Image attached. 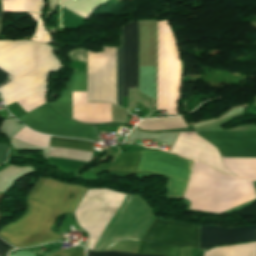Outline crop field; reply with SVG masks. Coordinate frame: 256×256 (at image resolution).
Listing matches in <instances>:
<instances>
[{"instance_id":"8a807250","label":"crop field","mask_w":256,"mask_h":256,"mask_svg":"<svg viewBox=\"0 0 256 256\" xmlns=\"http://www.w3.org/2000/svg\"><path fill=\"white\" fill-rule=\"evenodd\" d=\"M84 191L85 188L40 178L29 196L28 211L19 220L3 228L0 235L16 247L60 239L49 227L57 215L73 211Z\"/></svg>"},{"instance_id":"ac0d7876","label":"crop field","mask_w":256,"mask_h":256,"mask_svg":"<svg viewBox=\"0 0 256 256\" xmlns=\"http://www.w3.org/2000/svg\"><path fill=\"white\" fill-rule=\"evenodd\" d=\"M60 67L52 48L44 43L0 40V68L13 76L0 88L5 105L47 88L46 75Z\"/></svg>"},{"instance_id":"34b2d1b8","label":"crop field","mask_w":256,"mask_h":256,"mask_svg":"<svg viewBox=\"0 0 256 256\" xmlns=\"http://www.w3.org/2000/svg\"><path fill=\"white\" fill-rule=\"evenodd\" d=\"M122 42L118 48V105L125 96V26L120 29ZM137 22L126 24V96L127 88H137ZM116 65V48L103 47V52L87 51V66ZM87 101L106 102V67H87ZM108 102L116 105V66L109 67Z\"/></svg>"},{"instance_id":"412701ff","label":"crop field","mask_w":256,"mask_h":256,"mask_svg":"<svg viewBox=\"0 0 256 256\" xmlns=\"http://www.w3.org/2000/svg\"><path fill=\"white\" fill-rule=\"evenodd\" d=\"M157 29L156 110L166 109L167 115H178L183 63L167 20L157 22Z\"/></svg>"},{"instance_id":"f4fd0767","label":"crop field","mask_w":256,"mask_h":256,"mask_svg":"<svg viewBox=\"0 0 256 256\" xmlns=\"http://www.w3.org/2000/svg\"><path fill=\"white\" fill-rule=\"evenodd\" d=\"M199 227L157 218L143 236L138 253L179 256L181 247L198 248Z\"/></svg>"},{"instance_id":"dd49c442","label":"crop field","mask_w":256,"mask_h":256,"mask_svg":"<svg viewBox=\"0 0 256 256\" xmlns=\"http://www.w3.org/2000/svg\"><path fill=\"white\" fill-rule=\"evenodd\" d=\"M166 153L142 151V159L135 175L162 174L170 176L172 181L168 196L182 197L193 161Z\"/></svg>"},{"instance_id":"e52e79f7","label":"crop field","mask_w":256,"mask_h":256,"mask_svg":"<svg viewBox=\"0 0 256 256\" xmlns=\"http://www.w3.org/2000/svg\"><path fill=\"white\" fill-rule=\"evenodd\" d=\"M196 133L216 147L221 157H256V131Z\"/></svg>"},{"instance_id":"d8731c3e","label":"crop field","mask_w":256,"mask_h":256,"mask_svg":"<svg viewBox=\"0 0 256 256\" xmlns=\"http://www.w3.org/2000/svg\"><path fill=\"white\" fill-rule=\"evenodd\" d=\"M256 241V227L247 226L232 229H222L216 226L201 227L200 248L229 244L241 241Z\"/></svg>"},{"instance_id":"5a996713","label":"crop field","mask_w":256,"mask_h":256,"mask_svg":"<svg viewBox=\"0 0 256 256\" xmlns=\"http://www.w3.org/2000/svg\"><path fill=\"white\" fill-rule=\"evenodd\" d=\"M91 144L92 142L68 138L51 137L50 139V146L88 152H91ZM53 147H50L49 157L82 162L90 160L91 153Z\"/></svg>"},{"instance_id":"3316defc","label":"crop field","mask_w":256,"mask_h":256,"mask_svg":"<svg viewBox=\"0 0 256 256\" xmlns=\"http://www.w3.org/2000/svg\"><path fill=\"white\" fill-rule=\"evenodd\" d=\"M140 159V152L119 153L110 164L95 168L87 172V174L97 176L104 171L111 172L118 176L133 174L136 171Z\"/></svg>"},{"instance_id":"28ad6ade","label":"crop field","mask_w":256,"mask_h":256,"mask_svg":"<svg viewBox=\"0 0 256 256\" xmlns=\"http://www.w3.org/2000/svg\"><path fill=\"white\" fill-rule=\"evenodd\" d=\"M106 1L107 0H75L72 2L70 0H61L59 3L63 7L88 19V17Z\"/></svg>"},{"instance_id":"d1516ede","label":"crop field","mask_w":256,"mask_h":256,"mask_svg":"<svg viewBox=\"0 0 256 256\" xmlns=\"http://www.w3.org/2000/svg\"><path fill=\"white\" fill-rule=\"evenodd\" d=\"M1 5L2 11H31L40 13L44 2L43 0H7L1 2Z\"/></svg>"},{"instance_id":"22f410ed","label":"crop field","mask_w":256,"mask_h":256,"mask_svg":"<svg viewBox=\"0 0 256 256\" xmlns=\"http://www.w3.org/2000/svg\"><path fill=\"white\" fill-rule=\"evenodd\" d=\"M13 138L30 145L48 148L49 136L33 132L25 127L21 129Z\"/></svg>"},{"instance_id":"cbeb9de0","label":"crop field","mask_w":256,"mask_h":256,"mask_svg":"<svg viewBox=\"0 0 256 256\" xmlns=\"http://www.w3.org/2000/svg\"><path fill=\"white\" fill-rule=\"evenodd\" d=\"M67 57L71 60L73 70H86V50L76 48L68 51Z\"/></svg>"},{"instance_id":"5142ce71","label":"crop field","mask_w":256,"mask_h":256,"mask_svg":"<svg viewBox=\"0 0 256 256\" xmlns=\"http://www.w3.org/2000/svg\"><path fill=\"white\" fill-rule=\"evenodd\" d=\"M87 256H151V255H140V254H132V253H124V252H89L87 251Z\"/></svg>"},{"instance_id":"d9b57169","label":"crop field","mask_w":256,"mask_h":256,"mask_svg":"<svg viewBox=\"0 0 256 256\" xmlns=\"http://www.w3.org/2000/svg\"><path fill=\"white\" fill-rule=\"evenodd\" d=\"M97 130H103V129H128L130 130L131 127L130 126H126V125H116V124H108V125H99V126H95Z\"/></svg>"},{"instance_id":"733c2abd","label":"crop field","mask_w":256,"mask_h":256,"mask_svg":"<svg viewBox=\"0 0 256 256\" xmlns=\"http://www.w3.org/2000/svg\"><path fill=\"white\" fill-rule=\"evenodd\" d=\"M53 256H84V251H61Z\"/></svg>"},{"instance_id":"4a817a6b","label":"crop field","mask_w":256,"mask_h":256,"mask_svg":"<svg viewBox=\"0 0 256 256\" xmlns=\"http://www.w3.org/2000/svg\"><path fill=\"white\" fill-rule=\"evenodd\" d=\"M7 145L0 144V164L6 161Z\"/></svg>"},{"instance_id":"bc2a9ffb","label":"crop field","mask_w":256,"mask_h":256,"mask_svg":"<svg viewBox=\"0 0 256 256\" xmlns=\"http://www.w3.org/2000/svg\"><path fill=\"white\" fill-rule=\"evenodd\" d=\"M10 79L11 77L9 76V74L0 70V86L6 84L8 81H10Z\"/></svg>"},{"instance_id":"214f88e0","label":"crop field","mask_w":256,"mask_h":256,"mask_svg":"<svg viewBox=\"0 0 256 256\" xmlns=\"http://www.w3.org/2000/svg\"><path fill=\"white\" fill-rule=\"evenodd\" d=\"M11 247L12 246H10L0 240V256H4L5 252Z\"/></svg>"},{"instance_id":"92a150f3","label":"crop field","mask_w":256,"mask_h":256,"mask_svg":"<svg viewBox=\"0 0 256 256\" xmlns=\"http://www.w3.org/2000/svg\"><path fill=\"white\" fill-rule=\"evenodd\" d=\"M58 0H49L50 9H54Z\"/></svg>"},{"instance_id":"dafd665d","label":"crop field","mask_w":256,"mask_h":256,"mask_svg":"<svg viewBox=\"0 0 256 256\" xmlns=\"http://www.w3.org/2000/svg\"><path fill=\"white\" fill-rule=\"evenodd\" d=\"M2 197H3V195L0 194V201H1ZM0 220H1V215H0Z\"/></svg>"}]
</instances>
